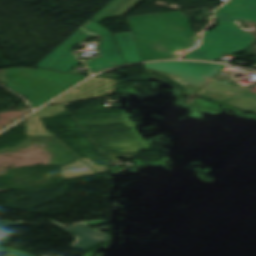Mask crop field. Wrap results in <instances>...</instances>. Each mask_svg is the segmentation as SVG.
<instances>
[{
    "label": "crop field",
    "instance_id": "6",
    "mask_svg": "<svg viewBox=\"0 0 256 256\" xmlns=\"http://www.w3.org/2000/svg\"><path fill=\"white\" fill-rule=\"evenodd\" d=\"M63 227L67 232L77 236V242L71 247L72 249L86 251L100 241L107 240L108 235L98 232V228L91 230L85 224H77L71 228ZM101 243V242H100Z\"/></svg>",
    "mask_w": 256,
    "mask_h": 256
},
{
    "label": "crop field",
    "instance_id": "11",
    "mask_svg": "<svg viewBox=\"0 0 256 256\" xmlns=\"http://www.w3.org/2000/svg\"><path fill=\"white\" fill-rule=\"evenodd\" d=\"M9 225L18 226L19 224L0 221V244L7 245L8 243L9 238L1 236L3 234L4 229L7 228Z\"/></svg>",
    "mask_w": 256,
    "mask_h": 256
},
{
    "label": "crop field",
    "instance_id": "3",
    "mask_svg": "<svg viewBox=\"0 0 256 256\" xmlns=\"http://www.w3.org/2000/svg\"><path fill=\"white\" fill-rule=\"evenodd\" d=\"M91 31L103 37L101 43L99 44L101 46L100 52L102 57H97L94 59V62L87 63L92 73L125 63L120 55L112 34L102 25L90 20L36 66L69 72L80 62L77 61L74 54L68 50Z\"/></svg>",
    "mask_w": 256,
    "mask_h": 256
},
{
    "label": "crop field",
    "instance_id": "9",
    "mask_svg": "<svg viewBox=\"0 0 256 256\" xmlns=\"http://www.w3.org/2000/svg\"><path fill=\"white\" fill-rule=\"evenodd\" d=\"M127 63L141 61L130 32L114 34Z\"/></svg>",
    "mask_w": 256,
    "mask_h": 256
},
{
    "label": "crop field",
    "instance_id": "1",
    "mask_svg": "<svg viewBox=\"0 0 256 256\" xmlns=\"http://www.w3.org/2000/svg\"><path fill=\"white\" fill-rule=\"evenodd\" d=\"M127 19L142 61L178 58L199 43L180 11Z\"/></svg>",
    "mask_w": 256,
    "mask_h": 256
},
{
    "label": "crop field",
    "instance_id": "15",
    "mask_svg": "<svg viewBox=\"0 0 256 256\" xmlns=\"http://www.w3.org/2000/svg\"><path fill=\"white\" fill-rule=\"evenodd\" d=\"M251 113H254V114H256V110H255V111H253V112H251Z\"/></svg>",
    "mask_w": 256,
    "mask_h": 256
},
{
    "label": "crop field",
    "instance_id": "12",
    "mask_svg": "<svg viewBox=\"0 0 256 256\" xmlns=\"http://www.w3.org/2000/svg\"><path fill=\"white\" fill-rule=\"evenodd\" d=\"M98 77H108V78L120 79L119 76L105 75V74H100V75H98Z\"/></svg>",
    "mask_w": 256,
    "mask_h": 256
},
{
    "label": "crop field",
    "instance_id": "14",
    "mask_svg": "<svg viewBox=\"0 0 256 256\" xmlns=\"http://www.w3.org/2000/svg\"><path fill=\"white\" fill-rule=\"evenodd\" d=\"M49 221H51V222H53V223H55V224H61V223L56 222V221H52V220H49Z\"/></svg>",
    "mask_w": 256,
    "mask_h": 256
},
{
    "label": "crop field",
    "instance_id": "8",
    "mask_svg": "<svg viewBox=\"0 0 256 256\" xmlns=\"http://www.w3.org/2000/svg\"><path fill=\"white\" fill-rule=\"evenodd\" d=\"M139 1L140 0H114L93 19L100 23L104 18L122 16Z\"/></svg>",
    "mask_w": 256,
    "mask_h": 256
},
{
    "label": "crop field",
    "instance_id": "7",
    "mask_svg": "<svg viewBox=\"0 0 256 256\" xmlns=\"http://www.w3.org/2000/svg\"><path fill=\"white\" fill-rule=\"evenodd\" d=\"M115 93V80L92 78L79 85L80 100L107 96Z\"/></svg>",
    "mask_w": 256,
    "mask_h": 256
},
{
    "label": "crop field",
    "instance_id": "2",
    "mask_svg": "<svg viewBox=\"0 0 256 256\" xmlns=\"http://www.w3.org/2000/svg\"><path fill=\"white\" fill-rule=\"evenodd\" d=\"M218 26L205 32L202 45L189 52L187 59L214 61L224 52L236 53L248 47L255 39L241 31L235 19L256 22V0H230L216 12Z\"/></svg>",
    "mask_w": 256,
    "mask_h": 256
},
{
    "label": "crop field",
    "instance_id": "13",
    "mask_svg": "<svg viewBox=\"0 0 256 256\" xmlns=\"http://www.w3.org/2000/svg\"><path fill=\"white\" fill-rule=\"evenodd\" d=\"M104 222H106V221L105 220H99V221L85 222V223L93 225V224H99V223H104Z\"/></svg>",
    "mask_w": 256,
    "mask_h": 256
},
{
    "label": "crop field",
    "instance_id": "10",
    "mask_svg": "<svg viewBox=\"0 0 256 256\" xmlns=\"http://www.w3.org/2000/svg\"><path fill=\"white\" fill-rule=\"evenodd\" d=\"M79 97H78V87L73 89L72 91L66 93L65 95L61 96L60 98L56 99L55 101H53L50 104H54V103H58V102H74V101H78Z\"/></svg>",
    "mask_w": 256,
    "mask_h": 256
},
{
    "label": "crop field",
    "instance_id": "4",
    "mask_svg": "<svg viewBox=\"0 0 256 256\" xmlns=\"http://www.w3.org/2000/svg\"><path fill=\"white\" fill-rule=\"evenodd\" d=\"M146 68L182 80L188 85L183 93L192 95L224 66L203 62H160L144 64Z\"/></svg>",
    "mask_w": 256,
    "mask_h": 256
},
{
    "label": "crop field",
    "instance_id": "5",
    "mask_svg": "<svg viewBox=\"0 0 256 256\" xmlns=\"http://www.w3.org/2000/svg\"><path fill=\"white\" fill-rule=\"evenodd\" d=\"M196 95L249 112L256 109V85L245 90L233 83L213 79Z\"/></svg>",
    "mask_w": 256,
    "mask_h": 256
}]
</instances>
